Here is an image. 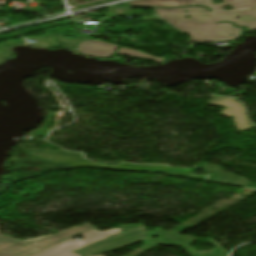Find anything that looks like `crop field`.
I'll list each match as a JSON object with an SVG mask.
<instances>
[{
  "label": "crop field",
  "mask_w": 256,
  "mask_h": 256,
  "mask_svg": "<svg viewBox=\"0 0 256 256\" xmlns=\"http://www.w3.org/2000/svg\"><path fill=\"white\" fill-rule=\"evenodd\" d=\"M224 4L214 5L211 0H138L129 2L130 5L142 6H182V5H202L212 9L210 13L204 7H188L163 9L155 8L158 16L169 22L181 32L187 33L189 36L234 29L236 27L230 23H218V21H231L237 26H247L249 30L256 29V9L242 11H222L221 5L232 4L233 9L256 7V0H224ZM187 10L188 13L183 11ZM185 15H191L190 19L183 18ZM237 17H240L238 20Z\"/></svg>",
  "instance_id": "8a807250"
},
{
  "label": "crop field",
  "mask_w": 256,
  "mask_h": 256,
  "mask_svg": "<svg viewBox=\"0 0 256 256\" xmlns=\"http://www.w3.org/2000/svg\"><path fill=\"white\" fill-rule=\"evenodd\" d=\"M34 154L40 155V157ZM11 161L38 165L45 169L75 168L81 166H88L114 170H132L165 173L170 176L190 177L198 180L206 178V176L191 175L190 173L192 172V170H175L169 169V167L161 166L120 164L117 167H109L87 161L82 158V154H76L64 151L62 149L58 151H48L40 149H27L25 147L18 146Z\"/></svg>",
  "instance_id": "ac0d7876"
},
{
  "label": "crop field",
  "mask_w": 256,
  "mask_h": 256,
  "mask_svg": "<svg viewBox=\"0 0 256 256\" xmlns=\"http://www.w3.org/2000/svg\"><path fill=\"white\" fill-rule=\"evenodd\" d=\"M94 229L91 224L73 227L62 233L40 237L36 240H14L10 236H0V256H32L70 238Z\"/></svg>",
  "instance_id": "34b2d1b8"
},
{
  "label": "crop field",
  "mask_w": 256,
  "mask_h": 256,
  "mask_svg": "<svg viewBox=\"0 0 256 256\" xmlns=\"http://www.w3.org/2000/svg\"><path fill=\"white\" fill-rule=\"evenodd\" d=\"M120 227L126 232L83 247L74 252L81 256L103 254L122 246L144 240L143 225H126Z\"/></svg>",
  "instance_id": "412701ff"
},
{
  "label": "crop field",
  "mask_w": 256,
  "mask_h": 256,
  "mask_svg": "<svg viewBox=\"0 0 256 256\" xmlns=\"http://www.w3.org/2000/svg\"><path fill=\"white\" fill-rule=\"evenodd\" d=\"M155 236H163L165 238L162 240H159V239H155L154 238ZM209 238H207L206 241L209 242L214 247L218 248V249L212 250V252H215L212 255L205 252H201L199 254L195 252L194 248H187L193 242V240H195V238H192L189 236L166 233L159 229H157L155 232L147 234L146 244L183 247L190 256H227L228 250H226L221 245H219L218 243H216L215 241Z\"/></svg>",
  "instance_id": "f4fd0767"
},
{
  "label": "crop field",
  "mask_w": 256,
  "mask_h": 256,
  "mask_svg": "<svg viewBox=\"0 0 256 256\" xmlns=\"http://www.w3.org/2000/svg\"><path fill=\"white\" fill-rule=\"evenodd\" d=\"M120 232L119 228L103 232L92 230L82 234L84 238L81 241L70 239L35 256H79L72 251Z\"/></svg>",
  "instance_id": "dd49c442"
},
{
  "label": "crop field",
  "mask_w": 256,
  "mask_h": 256,
  "mask_svg": "<svg viewBox=\"0 0 256 256\" xmlns=\"http://www.w3.org/2000/svg\"><path fill=\"white\" fill-rule=\"evenodd\" d=\"M209 98L214 99L209 101V105L226 107L221 111V115L233 117L238 131L249 130L253 128V123L248 117L244 107L236 99L211 95Z\"/></svg>",
  "instance_id": "e52e79f7"
},
{
  "label": "crop field",
  "mask_w": 256,
  "mask_h": 256,
  "mask_svg": "<svg viewBox=\"0 0 256 256\" xmlns=\"http://www.w3.org/2000/svg\"><path fill=\"white\" fill-rule=\"evenodd\" d=\"M52 30L55 32V34L57 36V40L60 43L59 45H62V46H63V44L67 45V46H64L65 48L72 49L74 46H76L82 40L74 35L65 34L64 29L57 28V29H52ZM66 35L72 36L74 38L73 39L67 38V37H65ZM28 40L35 41L34 44L32 43L31 45L36 46V47H45V48L59 47V45L56 43V41L53 37L51 30H49V32L45 35L34 37V38H29Z\"/></svg>",
  "instance_id": "d8731c3e"
},
{
  "label": "crop field",
  "mask_w": 256,
  "mask_h": 256,
  "mask_svg": "<svg viewBox=\"0 0 256 256\" xmlns=\"http://www.w3.org/2000/svg\"><path fill=\"white\" fill-rule=\"evenodd\" d=\"M116 48L117 45L98 40L84 41L78 46L80 53L99 58L110 57Z\"/></svg>",
  "instance_id": "5a996713"
},
{
  "label": "crop field",
  "mask_w": 256,
  "mask_h": 256,
  "mask_svg": "<svg viewBox=\"0 0 256 256\" xmlns=\"http://www.w3.org/2000/svg\"><path fill=\"white\" fill-rule=\"evenodd\" d=\"M198 166L203 167L208 172H212V170H214V172H212V175L209 176L208 178L209 181L228 183V184H237V185L246 186V187H248L250 184V181L244 178H242L243 180H240L241 177L227 173L218 167H215L206 163L199 164ZM209 167H212V169H209Z\"/></svg>",
  "instance_id": "3316defc"
},
{
  "label": "crop field",
  "mask_w": 256,
  "mask_h": 256,
  "mask_svg": "<svg viewBox=\"0 0 256 256\" xmlns=\"http://www.w3.org/2000/svg\"><path fill=\"white\" fill-rule=\"evenodd\" d=\"M225 32H228L227 34ZM241 29L199 35L190 37L192 42H215V41H224V40H233L239 36ZM233 36H230V35Z\"/></svg>",
  "instance_id": "28ad6ade"
},
{
  "label": "crop field",
  "mask_w": 256,
  "mask_h": 256,
  "mask_svg": "<svg viewBox=\"0 0 256 256\" xmlns=\"http://www.w3.org/2000/svg\"><path fill=\"white\" fill-rule=\"evenodd\" d=\"M23 42L21 40L18 41H12V40H8L4 43L0 44V63L3 62L2 59H5L9 56H11L12 54H14L11 49L14 46H19L22 45Z\"/></svg>",
  "instance_id": "d1516ede"
},
{
  "label": "crop field",
  "mask_w": 256,
  "mask_h": 256,
  "mask_svg": "<svg viewBox=\"0 0 256 256\" xmlns=\"http://www.w3.org/2000/svg\"><path fill=\"white\" fill-rule=\"evenodd\" d=\"M118 53L120 54H126V55H132V56H139V57H146V58H152V59H156L155 61L156 62H162L164 61L165 58H154V57H151V56H148L142 52H139V51H134L132 49H129V48H125V47H122L120 48V50L118 51Z\"/></svg>",
  "instance_id": "22f410ed"
},
{
  "label": "crop field",
  "mask_w": 256,
  "mask_h": 256,
  "mask_svg": "<svg viewBox=\"0 0 256 256\" xmlns=\"http://www.w3.org/2000/svg\"><path fill=\"white\" fill-rule=\"evenodd\" d=\"M97 256H102V255H97Z\"/></svg>",
  "instance_id": "cbeb9de0"
},
{
  "label": "crop field",
  "mask_w": 256,
  "mask_h": 256,
  "mask_svg": "<svg viewBox=\"0 0 256 256\" xmlns=\"http://www.w3.org/2000/svg\"><path fill=\"white\" fill-rule=\"evenodd\" d=\"M242 10V9H241Z\"/></svg>",
  "instance_id": "5142ce71"
}]
</instances>
